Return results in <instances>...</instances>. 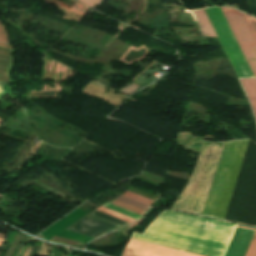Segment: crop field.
Segmentation results:
<instances>
[{
	"mask_svg": "<svg viewBox=\"0 0 256 256\" xmlns=\"http://www.w3.org/2000/svg\"><path fill=\"white\" fill-rule=\"evenodd\" d=\"M236 224L163 211L140 235L134 236L188 250L222 256ZM132 236L122 256H208Z\"/></svg>",
	"mask_w": 256,
	"mask_h": 256,
	"instance_id": "1",
	"label": "crop field"
},
{
	"mask_svg": "<svg viewBox=\"0 0 256 256\" xmlns=\"http://www.w3.org/2000/svg\"><path fill=\"white\" fill-rule=\"evenodd\" d=\"M248 141L244 139L224 143L202 215L224 218Z\"/></svg>",
	"mask_w": 256,
	"mask_h": 256,
	"instance_id": "2",
	"label": "crop field"
},
{
	"mask_svg": "<svg viewBox=\"0 0 256 256\" xmlns=\"http://www.w3.org/2000/svg\"><path fill=\"white\" fill-rule=\"evenodd\" d=\"M254 76L256 77V20L232 9L221 8Z\"/></svg>",
	"mask_w": 256,
	"mask_h": 256,
	"instance_id": "3",
	"label": "crop field"
},
{
	"mask_svg": "<svg viewBox=\"0 0 256 256\" xmlns=\"http://www.w3.org/2000/svg\"><path fill=\"white\" fill-rule=\"evenodd\" d=\"M206 12L219 36V40L221 41L238 77H253L220 9L214 7L206 9Z\"/></svg>",
	"mask_w": 256,
	"mask_h": 256,
	"instance_id": "4",
	"label": "crop field"
},
{
	"mask_svg": "<svg viewBox=\"0 0 256 256\" xmlns=\"http://www.w3.org/2000/svg\"><path fill=\"white\" fill-rule=\"evenodd\" d=\"M238 227H242V226H238ZM238 227H236L233 232V235L230 239V242L227 246L224 256H243L245 253V250L254 232L252 230H255V229L247 230L250 228L243 229L246 227H243V228H238ZM244 256H256V230L252 236V239L249 243V246Z\"/></svg>",
	"mask_w": 256,
	"mask_h": 256,
	"instance_id": "5",
	"label": "crop field"
},
{
	"mask_svg": "<svg viewBox=\"0 0 256 256\" xmlns=\"http://www.w3.org/2000/svg\"><path fill=\"white\" fill-rule=\"evenodd\" d=\"M93 214L98 215L107 220H110L119 225L125 224L122 221L114 219V218L107 216L105 214H102L98 211L94 212ZM112 228H114V227L88 216V217L84 218L83 220H81L79 223H77L75 226L69 228L68 230L95 237L97 235L102 234L103 232H105L107 230L112 229Z\"/></svg>",
	"mask_w": 256,
	"mask_h": 256,
	"instance_id": "6",
	"label": "crop field"
},
{
	"mask_svg": "<svg viewBox=\"0 0 256 256\" xmlns=\"http://www.w3.org/2000/svg\"><path fill=\"white\" fill-rule=\"evenodd\" d=\"M193 13L197 19L201 34L203 36L217 37L205 11L201 10V11H195Z\"/></svg>",
	"mask_w": 256,
	"mask_h": 256,
	"instance_id": "7",
	"label": "crop field"
},
{
	"mask_svg": "<svg viewBox=\"0 0 256 256\" xmlns=\"http://www.w3.org/2000/svg\"><path fill=\"white\" fill-rule=\"evenodd\" d=\"M256 116V79H240Z\"/></svg>",
	"mask_w": 256,
	"mask_h": 256,
	"instance_id": "8",
	"label": "crop field"
},
{
	"mask_svg": "<svg viewBox=\"0 0 256 256\" xmlns=\"http://www.w3.org/2000/svg\"><path fill=\"white\" fill-rule=\"evenodd\" d=\"M103 206H105V207H107V208H109V209H111V210H113V211H115V212H118V213H120V214H123V215H126V216H128V217L134 218V219H136V220H138L139 218H141V216H139V215H136V214H134V213H131V212L127 211V210H124V209L119 208V207H117V206L111 205V204H109V203H106V204H104Z\"/></svg>",
	"mask_w": 256,
	"mask_h": 256,
	"instance_id": "9",
	"label": "crop field"
},
{
	"mask_svg": "<svg viewBox=\"0 0 256 256\" xmlns=\"http://www.w3.org/2000/svg\"><path fill=\"white\" fill-rule=\"evenodd\" d=\"M109 203L114 204V205H117V206L122 207V208H124V209H127V210H129V211L135 212V213L140 214V215H142V216H144L145 213H146V212L143 211V210H140V209H138V208H135V207H133V206H130V205H128V204H126V203H123V202H121V201H118V200H116V199L110 201Z\"/></svg>",
	"mask_w": 256,
	"mask_h": 256,
	"instance_id": "10",
	"label": "crop field"
},
{
	"mask_svg": "<svg viewBox=\"0 0 256 256\" xmlns=\"http://www.w3.org/2000/svg\"><path fill=\"white\" fill-rule=\"evenodd\" d=\"M116 199L121 200V201H123V202H126V203H128V204H131V205H133V206H135V207H138V208H140V209H143V210H145V211H147L148 208H149V206L144 205V204H142V203H140V202H137V201H135V200H132V199H130V198H128V197H125V196H123V195L117 197Z\"/></svg>",
	"mask_w": 256,
	"mask_h": 256,
	"instance_id": "11",
	"label": "crop field"
},
{
	"mask_svg": "<svg viewBox=\"0 0 256 256\" xmlns=\"http://www.w3.org/2000/svg\"><path fill=\"white\" fill-rule=\"evenodd\" d=\"M97 210L102 211V212H104V213H107V214H109V215H112V216H114V217H117V218H119V219H122V220H124V221H127V222H129V223H132V222L136 221V220H134V219H131V218H128V217H126V216H123V215H120V214H118V213H115V212H113V211H111V210H109V209H107V208H105V207H103V206L97 208Z\"/></svg>",
	"mask_w": 256,
	"mask_h": 256,
	"instance_id": "12",
	"label": "crop field"
},
{
	"mask_svg": "<svg viewBox=\"0 0 256 256\" xmlns=\"http://www.w3.org/2000/svg\"><path fill=\"white\" fill-rule=\"evenodd\" d=\"M123 195L128 196V197H130V198H132V199H135V200H137V201H140V202H142V203H144V204H147V205H149V206H151V204H152V202H153V201L150 200V199L144 198V197H142V196H139V195H137V194L131 193V192H129V191L125 192Z\"/></svg>",
	"mask_w": 256,
	"mask_h": 256,
	"instance_id": "13",
	"label": "crop field"
},
{
	"mask_svg": "<svg viewBox=\"0 0 256 256\" xmlns=\"http://www.w3.org/2000/svg\"><path fill=\"white\" fill-rule=\"evenodd\" d=\"M0 43L1 44H9V35L8 33L4 30L3 26L0 23Z\"/></svg>",
	"mask_w": 256,
	"mask_h": 256,
	"instance_id": "14",
	"label": "crop field"
},
{
	"mask_svg": "<svg viewBox=\"0 0 256 256\" xmlns=\"http://www.w3.org/2000/svg\"><path fill=\"white\" fill-rule=\"evenodd\" d=\"M9 65L10 64L0 63V70L7 72L8 68H9Z\"/></svg>",
	"mask_w": 256,
	"mask_h": 256,
	"instance_id": "15",
	"label": "crop field"
},
{
	"mask_svg": "<svg viewBox=\"0 0 256 256\" xmlns=\"http://www.w3.org/2000/svg\"><path fill=\"white\" fill-rule=\"evenodd\" d=\"M0 80L8 82V76L7 73L0 72Z\"/></svg>",
	"mask_w": 256,
	"mask_h": 256,
	"instance_id": "16",
	"label": "crop field"
},
{
	"mask_svg": "<svg viewBox=\"0 0 256 256\" xmlns=\"http://www.w3.org/2000/svg\"><path fill=\"white\" fill-rule=\"evenodd\" d=\"M0 62H7V63H10V58L0 56Z\"/></svg>",
	"mask_w": 256,
	"mask_h": 256,
	"instance_id": "17",
	"label": "crop field"
},
{
	"mask_svg": "<svg viewBox=\"0 0 256 256\" xmlns=\"http://www.w3.org/2000/svg\"><path fill=\"white\" fill-rule=\"evenodd\" d=\"M0 55H2V56H8V57H10V52H8V51H3V50H0Z\"/></svg>",
	"mask_w": 256,
	"mask_h": 256,
	"instance_id": "18",
	"label": "crop field"
},
{
	"mask_svg": "<svg viewBox=\"0 0 256 256\" xmlns=\"http://www.w3.org/2000/svg\"><path fill=\"white\" fill-rule=\"evenodd\" d=\"M0 46L7 47V48H11V49H14V47H12V46H6V45H1V44H0Z\"/></svg>",
	"mask_w": 256,
	"mask_h": 256,
	"instance_id": "19",
	"label": "crop field"
},
{
	"mask_svg": "<svg viewBox=\"0 0 256 256\" xmlns=\"http://www.w3.org/2000/svg\"><path fill=\"white\" fill-rule=\"evenodd\" d=\"M3 240L0 239V246L2 245Z\"/></svg>",
	"mask_w": 256,
	"mask_h": 256,
	"instance_id": "20",
	"label": "crop field"
},
{
	"mask_svg": "<svg viewBox=\"0 0 256 256\" xmlns=\"http://www.w3.org/2000/svg\"><path fill=\"white\" fill-rule=\"evenodd\" d=\"M0 49L7 50V49H5V48H1V47H0ZM9 51H11V50H9Z\"/></svg>",
	"mask_w": 256,
	"mask_h": 256,
	"instance_id": "21",
	"label": "crop field"
},
{
	"mask_svg": "<svg viewBox=\"0 0 256 256\" xmlns=\"http://www.w3.org/2000/svg\"><path fill=\"white\" fill-rule=\"evenodd\" d=\"M0 238H2V239H3L4 237H3V236H0Z\"/></svg>",
	"mask_w": 256,
	"mask_h": 256,
	"instance_id": "22",
	"label": "crop field"
},
{
	"mask_svg": "<svg viewBox=\"0 0 256 256\" xmlns=\"http://www.w3.org/2000/svg\"><path fill=\"white\" fill-rule=\"evenodd\" d=\"M0 235H3V234H0ZM4 236V235H3Z\"/></svg>",
	"mask_w": 256,
	"mask_h": 256,
	"instance_id": "23",
	"label": "crop field"
},
{
	"mask_svg": "<svg viewBox=\"0 0 256 256\" xmlns=\"http://www.w3.org/2000/svg\"><path fill=\"white\" fill-rule=\"evenodd\" d=\"M0 122H1V120H0Z\"/></svg>",
	"mask_w": 256,
	"mask_h": 256,
	"instance_id": "24",
	"label": "crop field"
}]
</instances>
